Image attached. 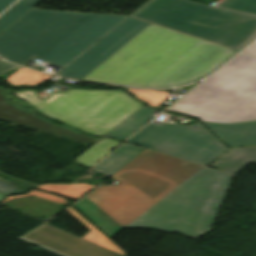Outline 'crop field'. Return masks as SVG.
Wrapping results in <instances>:
<instances>
[{"mask_svg":"<svg viewBox=\"0 0 256 256\" xmlns=\"http://www.w3.org/2000/svg\"><path fill=\"white\" fill-rule=\"evenodd\" d=\"M73 90H77V89H71L67 92H70V91H73ZM19 92L23 93L24 95H26L28 98H30L31 100H33L35 102L40 101V100H44V98L36 96L37 93H38V91H36V90H25V91H19ZM60 94H63V93L53 92V94L50 97H54V96H57V95H60Z\"/></svg>","mask_w":256,"mask_h":256,"instance_id":"obj_25","label":"crop field"},{"mask_svg":"<svg viewBox=\"0 0 256 256\" xmlns=\"http://www.w3.org/2000/svg\"><path fill=\"white\" fill-rule=\"evenodd\" d=\"M29 195L40 197V198H44V199H48V200H52V201H56V202H60V203L65 204L67 206L70 205V204H68L66 202L65 198L54 196V195H50V194H46V193H43V192H40V191H37V190H34V189H32L26 195L7 197V199L2 201L1 203L5 204L7 201H9L11 199L20 198V197L29 196Z\"/></svg>","mask_w":256,"mask_h":256,"instance_id":"obj_22","label":"crop field"},{"mask_svg":"<svg viewBox=\"0 0 256 256\" xmlns=\"http://www.w3.org/2000/svg\"><path fill=\"white\" fill-rule=\"evenodd\" d=\"M67 211L70 212L75 218H77L84 226H86L90 230L88 233H86L83 236V238L125 255V253L122 250H120L114 243H112L98 229H96L91 223H89L84 217H82L76 210H74L71 207Z\"/></svg>","mask_w":256,"mask_h":256,"instance_id":"obj_17","label":"crop field"},{"mask_svg":"<svg viewBox=\"0 0 256 256\" xmlns=\"http://www.w3.org/2000/svg\"><path fill=\"white\" fill-rule=\"evenodd\" d=\"M244 53L256 56V42L252 46H250L246 51H244Z\"/></svg>","mask_w":256,"mask_h":256,"instance_id":"obj_29","label":"crop field"},{"mask_svg":"<svg viewBox=\"0 0 256 256\" xmlns=\"http://www.w3.org/2000/svg\"><path fill=\"white\" fill-rule=\"evenodd\" d=\"M3 198H4V196L0 194V200L3 199Z\"/></svg>","mask_w":256,"mask_h":256,"instance_id":"obj_30","label":"crop field"},{"mask_svg":"<svg viewBox=\"0 0 256 256\" xmlns=\"http://www.w3.org/2000/svg\"><path fill=\"white\" fill-rule=\"evenodd\" d=\"M0 178L7 181V182H10L26 191H29L33 186L37 185V184H34V183H30V182H27V181H24V180H21V179H18V178H14V177H11L3 172L0 171ZM34 188V187H33Z\"/></svg>","mask_w":256,"mask_h":256,"instance_id":"obj_23","label":"crop field"},{"mask_svg":"<svg viewBox=\"0 0 256 256\" xmlns=\"http://www.w3.org/2000/svg\"><path fill=\"white\" fill-rule=\"evenodd\" d=\"M202 123L229 146L256 145V121L232 124Z\"/></svg>","mask_w":256,"mask_h":256,"instance_id":"obj_10","label":"crop field"},{"mask_svg":"<svg viewBox=\"0 0 256 256\" xmlns=\"http://www.w3.org/2000/svg\"><path fill=\"white\" fill-rule=\"evenodd\" d=\"M120 142L108 139L104 137L99 142L93 144L86 151H84L79 157L74 161L91 167L100 161L104 156H106L113 148L119 145Z\"/></svg>","mask_w":256,"mask_h":256,"instance_id":"obj_14","label":"crop field"},{"mask_svg":"<svg viewBox=\"0 0 256 256\" xmlns=\"http://www.w3.org/2000/svg\"><path fill=\"white\" fill-rule=\"evenodd\" d=\"M144 148L125 143L94 168L112 175Z\"/></svg>","mask_w":256,"mask_h":256,"instance_id":"obj_13","label":"crop field"},{"mask_svg":"<svg viewBox=\"0 0 256 256\" xmlns=\"http://www.w3.org/2000/svg\"><path fill=\"white\" fill-rule=\"evenodd\" d=\"M146 148L73 206L110 238L147 228L193 239L209 232L231 177L205 166L228 149L198 122L148 124L127 141Z\"/></svg>","mask_w":256,"mask_h":256,"instance_id":"obj_1","label":"crop field"},{"mask_svg":"<svg viewBox=\"0 0 256 256\" xmlns=\"http://www.w3.org/2000/svg\"><path fill=\"white\" fill-rule=\"evenodd\" d=\"M154 111L155 109L142 107L107 135L126 140L153 118Z\"/></svg>","mask_w":256,"mask_h":256,"instance_id":"obj_12","label":"crop field"},{"mask_svg":"<svg viewBox=\"0 0 256 256\" xmlns=\"http://www.w3.org/2000/svg\"><path fill=\"white\" fill-rule=\"evenodd\" d=\"M219 7H225L256 14V0H225L219 5Z\"/></svg>","mask_w":256,"mask_h":256,"instance_id":"obj_20","label":"crop field"},{"mask_svg":"<svg viewBox=\"0 0 256 256\" xmlns=\"http://www.w3.org/2000/svg\"><path fill=\"white\" fill-rule=\"evenodd\" d=\"M50 77L51 76L22 68L5 80L13 85L26 84L36 86L40 82H43Z\"/></svg>","mask_w":256,"mask_h":256,"instance_id":"obj_18","label":"crop field"},{"mask_svg":"<svg viewBox=\"0 0 256 256\" xmlns=\"http://www.w3.org/2000/svg\"><path fill=\"white\" fill-rule=\"evenodd\" d=\"M18 239L58 256H123L46 223Z\"/></svg>","mask_w":256,"mask_h":256,"instance_id":"obj_8","label":"crop field"},{"mask_svg":"<svg viewBox=\"0 0 256 256\" xmlns=\"http://www.w3.org/2000/svg\"><path fill=\"white\" fill-rule=\"evenodd\" d=\"M169 110L208 122L256 120V58L240 54Z\"/></svg>","mask_w":256,"mask_h":256,"instance_id":"obj_4","label":"crop field"},{"mask_svg":"<svg viewBox=\"0 0 256 256\" xmlns=\"http://www.w3.org/2000/svg\"><path fill=\"white\" fill-rule=\"evenodd\" d=\"M131 16L238 51L256 38V16L187 0H150Z\"/></svg>","mask_w":256,"mask_h":256,"instance_id":"obj_5","label":"crop field"},{"mask_svg":"<svg viewBox=\"0 0 256 256\" xmlns=\"http://www.w3.org/2000/svg\"><path fill=\"white\" fill-rule=\"evenodd\" d=\"M124 18L33 8L0 35V56L21 65L34 57L64 67Z\"/></svg>","mask_w":256,"mask_h":256,"instance_id":"obj_3","label":"crop field"},{"mask_svg":"<svg viewBox=\"0 0 256 256\" xmlns=\"http://www.w3.org/2000/svg\"><path fill=\"white\" fill-rule=\"evenodd\" d=\"M0 120L48 132L62 137L74 139L85 143H93L96 140L74 133L65 128L49 125L33 116L21 112L7 105L0 95Z\"/></svg>","mask_w":256,"mask_h":256,"instance_id":"obj_9","label":"crop field"},{"mask_svg":"<svg viewBox=\"0 0 256 256\" xmlns=\"http://www.w3.org/2000/svg\"><path fill=\"white\" fill-rule=\"evenodd\" d=\"M14 68H16V66L0 61V75Z\"/></svg>","mask_w":256,"mask_h":256,"instance_id":"obj_26","label":"crop field"},{"mask_svg":"<svg viewBox=\"0 0 256 256\" xmlns=\"http://www.w3.org/2000/svg\"><path fill=\"white\" fill-rule=\"evenodd\" d=\"M149 24L129 17L57 75L81 80Z\"/></svg>","mask_w":256,"mask_h":256,"instance_id":"obj_7","label":"crop field"},{"mask_svg":"<svg viewBox=\"0 0 256 256\" xmlns=\"http://www.w3.org/2000/svg\"><path fill=\"white\" fill-rule=\"evenodd\" d=\"M44 115L95 136L106 135L143 106L120 90H84L32 104Z\"/></svg>","mask_w":256,"mask_h":256,"instance_id":"obj_6","label":"crop field"},{"mask_svg":"<svg viewBox=\"0 0 256 256\" xmlns=\"http://www.w3.org/2000/svg\"><path fill=\"white\" fill-rule=\"evenodd\" d=\"M95 185L91 184H80V183H71V184H42L36 187L43 191H47L53 194L64 196L71 199H79L81 196L86 194L88 191L93 189Z\"/></svg>","mask_w":256,"mask_h":256,"instance_id":"obj_15","label":"crop field"},{"mask_svg":"<svg viewBox=\"0 0 256 256\" xmlns=\"http://www.w3.org/2000/svg\"><path fill=\"white\" fill-rule=\"evenodd\" d=\"M128 92L136 95L137 98L145 100L148 105L158 107L170 95L165 92L127 89Z\"/></svg>","mask_w":256,"mask_h":256,"instance_id":"obj_19","label":"crop field"},{"mask_svg":"<svg viewBox=\"0 0 256 256\" xmlns=\"http://www.w3.org/2000/svg\"><path fill=\"white\" fill-rule=\"evenodd\" d=\"M0 192L5 195L26 193V191L0 179Z\"/></svg>","mask_w":256,"mask_h":256,"instance_id":"obj_24","label":"crop field"},{"mask_svg":"<svg viewBox=\"0 0 256 256\" xmlns=\"http://www.w3.org/2000/svg\"><path fill=\"white\" fill-rule=\"evenodd\" d=\"M14 0H0V13L9 6Z\"/></svg>","mask_w":256,"mask_h":256,"instance_id":"obj_28","label":"crop field"},{"mask_svg":"<svg viewBox=\"0 0 256 256\" xmlns=\"http://www.w3.org/2000/svg\"><path fill=\"white\" fill-rule=\"evenodd\" d=\"M41 0H20L0 17V34Z\"/></svg>","mask_w":256,"mask_h":256,"instance_id":"obj_16","label":"crop field"},{"mask_svg":"<svg viewBox=\"0 0 256 256\" xmlns=\"http://www.w3.org/2000/svg\"><path fill=\"white\" fill-rule=\"evenodd\" d=\"M237 51L154 24L82 81L162 88L198 80Z\"/></svg>","mask_w":256,"mask_h":256,"instance_id":"obj_2","label":"crop field"},{"mask_svg":"<svg viewBox=\"0 0 256 256\" xmlns=\"http://www.w3.org/2000/svg\"><path fill=\"white\" fill-rule=\"evenodd\" d=\"M250 162L256 163V147L231 148L210 166L233 177Z\"/></svg>","mask_w":256,"mask_h":256,"instance_id":"obj_11","label":"crop field"},{"mask_svg":"<svg viewBox=\"0 0 256 256\" xmlns=\"http://www.w3.org/2000/svg\"><path fill=\"white\" fill-rule=\"evenodd\" d=\"M1 88V87H0ZM1 90H2V92H6V91H8V90H4L3 88H1ZM12 91V90H11ZM14 92V94L18 97V98H20V99H22V100H24L25 102H27L28 104H31V103H34V102H32L30 99H28L26 96H24V95H22L21 93H19V92H17V91H13Z\"/></svg>","mask_w":256,"mask_h":256,"instance_id":"obj_27","label":"crop field"},{"mask_svg":"<svg viewBox=\"0 0 256 256\" xmlns=\"http://www.w3.org/2000/svg\"><path fill=\"white\" fill-rule=\"evenodd\" d=\"M0 93H1V95H2V97L4 98V100H5L6 103L12 105L13 107H15V108H17V109H19V110H21V111H24V112H26V113H28V114H30V115H33V116H35V117H37V118H39V119H41V120H43V121H45V122H48V123H50V124H52V125L65 127V128L70 129V130H73V131H75V132H77V133H80V134H83V135H85V136H88V137H91V138H94V139H97V140H98V138H96V137H94V136H91V135L84 134V133L78 131L77 129H75V128H73V127L64 126V125H59V124H56V123H54V122H52V121H50V120H47V119L41 117V116H36L37 114H34L33 111L28 110V109H24L20 104L15 103V102L9 100V99L7 98V96H6V94L2 93L1 90H0Z\"/></svg>","mask_w":256,"mask_h":256,"instance_id":"obj_21","label":"crop field"}]
</instances>
